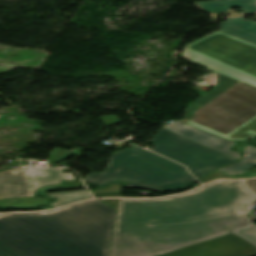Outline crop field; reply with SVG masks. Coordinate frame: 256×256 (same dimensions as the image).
<instances>
[{"label": "crop field", "mask_w": 256, "mask_h": 256, "mask_svg": "<svg viewBox=\"0 0 256 256\" xmlns=\"http://www.w3.org/2000/svg\"><path fill=\"white\" fill-rule=\"evenodd\" d=\"M255 194L241 181L208 184L181 196L120 199L109 256H158L249 225Z\"/></svg>", "instance_id": "1"}, {"label": "crop field", "mask_w": 256, "mask_h": 256, "mask_svg": "<svg viewBox=\"0 0 256 256\" xmlns=\"http://www.w3.org/2000/svg\"><path fill=\"white\" fill-rule=\"evenodd\" d=\"M192 44V62L218 73L216 88L190 105L194 126L229 140L255 136L256 45L221 31Z\"/></svg>", "instance_id": "2"}, {"label": "crop field", "mask_w": 256, "mask_h": 256, "mask_svg": "<svg viewBox=\"0 0 256 256\" xmlns=\"http://www.w3.org/2000/svg\"><path fill=\"white\" fill-rule=\"evenodd\" d=\"M116 214L94 200L52 212L0 215V256H108Z\"/></svg>", "instance_id": "3"}, {"label": "crop field", "mask_w": 256, "mask_h": 256, "mask_svg": "<svg viewBox=\"0 0 256 256\" xmlns=\"http://www.w3.org/2000/svg\"><path fill=\"white\" fill-rule=\"evenodd\" d=\"M118 179L127 180L126 186L156 190L180 188L194 180L185 167L137 146L112 155L105 171L88 175L86 182L104 185Z\"/></svg>", "instance_id": "4"}, {"label": "crop field", "mask_w": 256, "mask_h": 256, "mask_svg": "<svg viewBox=\"0 0 256 256\" xmlns=\"http://www.w3.org/2000/svg\"><path fill=\"white\" fill-rule=\"evenodd\" d=\"M156 132V137L151 139L155 147L151 150L189 167L197 178L237 161L163 128Z\"/></svg>", "instance_id": "5"}, {"label": "crop field", "mask_w": 256, "mask_h": 256, "mask_svg": "<svg viewBox=\"0 0 256 256\" xmlns=\"http://www.w3.org/2000/svg\"><path fill=\"white\" fill-rule=\"evenodd\" d=\"M62 171L63 169L26 168L4 172L0 174V198L32 196L38 187L59 183L61 179H73L71 173L62 174Z\"/></svg>", "instance_id": "6"}, {"label": "crop field", "mask_w": 256, "mask_h": 256, "mask_svg": "<svg viewBox=\"0 0 256 256\" xmlns=\"http://www.w3.org/2000/svg\"><path fill=\"white\" fill-rule=\"evenodd\" d=\"M162 256H256V245L232 233Z\"/></svg>", "instance_id": "7"}, {"label": "crop field", "mask_w": 256, "mask_h": 256, "mask_svg": "<svg viewBox=\"0 0 256 256\" xmlns=\"http://www.w3.org/2000/svg\"><path fill=\"white\" fill-rule=\"evenodd\" d=\"M164 128L180 134L186 138L196 141L204 146H207L215 151L222 154L228 155L235 159H241L240 154L229 150L235 143L224 138L218 137L211 133L205 132L203 130L197 129L192 126H188L182 122L176 121L175 123L169 124ZM165 129V130H166Z\"/></svg>", "instance_id": "8"}, {"label": "crop field", "mask_w": 256, "mask_h": 256, "mask_svg": "<svg viewBox=\"0 0 256 256\" xmlns=\"http://www.w3.org/2000/svg\"><path fill=\"white\" fill-rule=\"evenodd\" d=\"M200 9L210 13L214 20L221 12L229 13L228 17H234L240 14H236L230 10V7L241 6L245 13H256L255 0H217L209 2L195 3Z\"/></svg>", "instance_id": "9"}, {"label": "crop field", "mask_w": 256, "mask_h": 256, "mask_svg": "<svg viewBox=\"0 0 256 256\" xmlns=\"http://www.w3.org/2000/svg\"><path fill=\"white\" fill-rule=\"evenodd\" d=\"M221 31L256 44V22L239 18L228 19L221 24Z\"/></svg>", "instance_id": "10"}, {"label": "crop field", "mask_w": 256, "mask_h": 256, "mask_svg": "<svg viewBox=\"0 0 256 256\" xmlns=\"http://www.w3.org/2000/svg\"><path fill=\"white\" fill-rule=\"evenodd\" d=\"M240 150L244 152V158L242 161L219 170L226 173H230V174H240L255 167L256 166V148L252 146H246L241 148Z\"/></svg>", "instance_id": "11"}, {"label": "crop field", "mask_w": 256, "mask_h": 256, "mask_svg": "<svg viewBox=\"0 0 256 256\" xmlns=\"http://www.w3.org/2000/svg\"><path fill=\"white\" fill-rule=\"evenodd\" d=\"M68 183L69 185H73V184H82L83 182L81 183L80 180H68ZM37 190L34 191L33 197L0 199V206L22 207V206L40 205V204L46 203L45 199L35 197V192Z\"/></svg>", "instance_id": "12"}, {"label": "crop field", "mask_w": 256, "mask_h": 256, "mask_svg": "<svg viewBox=\"0 0 256 256\" xmlns=\"http://www.w3.org/2000/svg\"><path fill=\"white\" fill-rule=\"evenodd\" d=\"M51 196L59 198L57 202L52 204L55 207L80 201L82 199L92 198L89 192L87 191H69V192H62V193H54Z\"/></svg>", "instance_id": "13"}, {"label": "crop field", "mask_w": 256, "mask_h": 256, "mask_svg": "<svg viewBox=\"0 0 256 256\" xmlns=\"http://www.w3.org/2000/svg\"><path fill=\"white\" fill-rule=\"evenodd\" d=\"M52 159L49 160L50 165L58 163L64 159H66L67 157L73 155L71 154L69 151L66 150H60V149H55L51 152H49Z\"/></svg>", "instance_id": "14"}, {"label": "crop field", "mask_w": 256, "mask_h": 256, "mask_svg": "<svg viewBox=\"0 0 256 256\" xmlns=\"http://www.w3.org/2000/svg\"><path fill=\"white\" fill-rule=\"evenodd\" d=\"M237 232L256 244V224L245 229L237 230Z\"/></svg>", "instance_id": "15"}, {"label": "crop field", "mask_w": 256, "mask_h": 256, "mask_svg": "<svg viewBox=\"0 0 256 256\" xmlns=\"http://www.w3.org/2000/svg\"><path fill=\"white\" fill-rule=\"evenodd\" d=\"M218 171H219V170H218ZM218 171L215 172L214 174H212V175L206 177V178L201 179V180H200L201 183H202V184H205V183H207V182H209V181H211V180H215V179H219V178H232L231 176L222 174V173H220V172H218Z\"/></svg>", "instance_id": "16"}, {"label": "crop field", "mask_w": 256, "mask_h": 256, "mask_svg": "<svg viewBox=\"0 0 256 256\" xmlns=\"http://www.w3.org/2000/svg\"><path fill=\"white\" fill-rule=\"evenodd\" d=\"M101 119L104 122L105 126L113 125L119 122L115 116H106L102 117Z\"/></svg>", "instance_id": "17"}, {"label": "crop field", "mask_w": 256, "mask_h": 256, "mask_svg": "<svg viewBox=\"0 0 256 256\" xmlns=\"http://www.w3.org/2000/svg\"><path fill=\"white\" fill-rule=\"evenodd\" d=\"M193 114H195V112L189 110V108H188L187 113H186V117H185V119L182 120V122H184V123H186L188 125H192L193 126L192 119H191V116Z\"/></svg>", "instance_id": "18"}, {"label": "crop field", "mask_w": 256, "mask_h": 256, "mask_svg": "<svg viewBox=\"0 0 256 256\" xmlns=\"http://www.w3.org/2000/svg\"><path fill=\"white\" fill-rule=\"evenodd\" d=\"M247 186L256 193V179L254 180H246Z\"/></svg>", "instance_id": "19"}, {"label": "crop field", "mask_w": 256, "mask_h": 256, "mask_svg": "<svg viewBox=\"0 0 256 256\" xmlns=\"http://www.w3.org/2000/svg\"><path fill=\"white\" fill-rule=\"evenodd\" d=\"M190 46H192V45L190 44V45H188V46L186 47L185 52H184V54H183V56H184L187 60H189V61H190L191 59H193V58L190 57V56H188V55H185V54L192 50V49L189 48Z\"/></svg>", "instance_id": "20"}, {"label": "crop field", "mask_w": 256, "mask_h": 256, "mask_svg": "<svg viewBox=\"0 0 256 256\" xmlns=\"http://www.w3.org/2000/svg\"><path fill=\"white\" fill-rule=\"evenodd\" d=\"M12 69H14V67H9V66L0 67V74L8 72V71H10Z\"/></svg>", "instance_id": "21"}, {"label": "crop field", "mask_w": 256, "mask_h": 256, "mask_svg": "<svg viewBox=\"0 0 256 256\" xmlns=\"http://www.w3.org/2000/svg\"><path fill=\"white\" fill-rule=\"evenodd\" d=\"M93 147H90V148H84V149H78V150H73L71 151L74 155L76 156H81V150H85V149H91Z\"/></svg>", "instance_id": "22"}]
</instances>
